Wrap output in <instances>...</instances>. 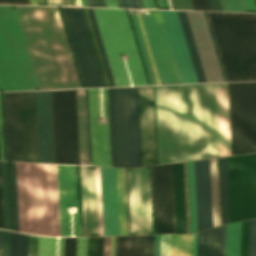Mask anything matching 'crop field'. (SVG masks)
I'll list each match as a JSON object with an SVG mask.
<instances>
[{"label": "crop field", "instance_id": "crop-field-1", "mask_svg": "<svg viewBox=\"0 0 256 256\" xmlns=\"http://www.w3.org/2000/svg\"><path fill=\"white\" fill-rule=\"evenodd\" d=\"M160 164L219 156L215 84L155 86Z\"/></svg>", "mask_w": 256, "mask_h": 256}, {"label": "crop field", "instance_id": "crop-field-2", "mask_svg": "<svg viewBox=\"0 0 256 256\" xmlns=\"http://www.w3.org/2000/svg\"><path fill=\"white\" fill-rule=\"evenodd\" d=\"M143 166L157 164L152 86L138 87ZM112 166H142L137 87L108 88Z\"/></svg>", "mask_w": 256, "mask_h": 256}, {"label": "crop field", "instance_id": "crop-field-3", "mask_svg": "<svg viewBox=\"0 0 256 256\" xmlns=\"http://www.w3.org/2000/svg\"><path fill=\"white\" fill-rule=\"evenodd\" d=\"M16 7L39 88H80L57 7Z\"/></svg>", "mask_w": 256, "mask_h": 256}, {"label": "crop field", "instance_id": "crop-field-4", "mask_svg": "<svg viewBox=\"0 0 256 256\" xmlns=\"http://www.w3.org/2000/svg\"><path fill=\"white\" fill-rule=\"evenodd\" d=\"M20 232L60 236L56 165L16 163Z\"/></svg>", "mask_w": 256, "mask_h": 256}, {"label": "crop field", "instance_id": "crop-field-5", "mask_svg": "<svg viewBox=\"0 0 256 256\" xmlns=\"http://www.w3.org/2000/svg\"><path fill=\"white\" fill-rule=\"evenodd\" d=\"M209 13L228 80H256V14Z\"/></svg>", "mask_w": 256, "mask_h": 256}, {"label": "crop field", "instance_id": "crop-field-6", "mask_svg": "<svg viewBox=\"0 0 256 256\" xmlns=\"http://www.w3.org/2000/svg\"><path fill=\"white\" fill-rule=\"evenodd\" d=\"M94 13L115 85H130L123 61L118 54H127L128 60L125 61L132 84L148 85L126 11L94 9Z\"/></svg>", "mask_w": 256, "mask_h": 256}, {"label": "crop field", "instance_id": "crop-field-7", "mask_svg": "<svg viewBox=\"0 0 256 256\" xmlns=\"http://www.w3.org/2000/svg\"><path fill=\"white\" fill-rule=\"evenodd\" d=\"M11 7L0 6V88L38 90L16 10Z\"/></svg>", "mask_w": 256, "mask_h": 256}, {"label": "crop field", "instance_id": "crop-field-8", "mask_svg": "<svg viewBox=\"0 0 256 256\" xmlns=\"http://www.w3.org/2000/svg\"><path fill=\"white\" fill-rule=\"evenodd\" d=\"M7 160L38 162L34 92L3 93Z\"/></svg>", "mask_w": 256, "mask_h": 256}, {"label": "crop field", "instance_id": "crop-field-9", "mask_svg": "<svg viewBox=\"0 0 256 256\" xmlns=\"http://www.w3.org/2000/svg\"><path fill=\"white\" fill-rule=\"evenodd\" d=\"M231 222L256 217V153L227 157Z\"/></svg>", "mask_w": 256, "mask_h": 256}, {"label": "crop field", "instance_id": "crop-field-10", "mask_svg": "<svg viewBox=\"0 0 256 256\" xmlns=\"http://www.w3.org/2000/svg\"><path fill=\"white\" fill-rule=\"evenodd\" d=\"M234 154L256 152V82L230 83Z\"/></svg>", "mask_w": 256, "mask_h": 256}, {"label": "crop field", "instance_id": "crop-field-11", "mask_svg": "<svg viewBox=\"0 0 256 256\" xmlns=\"http://www.w3.org/2000/svg\"><path fill=\"white\" fill-rule=\"evenodd\" d=\"M56 163L78 164L74 90L51 91Z\"/></svg>", "mask_w": 256, "mask_h": 256}, {"label": "crop field", "instance_id": "crop-field-12", "mask_svg": "<svg viewBox=\"0 0 256 256\" xmlns=\"http://www.w3.org/2000/svg\"><path fill=\"white\" fill-rule=\"evenodd\" d=\"M161 12H162V16L164 19V23L166 26V30L168 33V37L170 40V44L173 50V54L175 57V61L178 67V71H179L182 83H196L197 81L206 82L203 71H202V67L199 61V57L197 54V50L194 44V40L192 37V33L189 27V23L186 17V13L177 11L180 22H181V26L183 29V33L185 36V40L188 46V50L190 53V57L192 60V64L195 70L197 81L193 71L189 53L186 47L182 29L179 23L177 12L176 11H161Z\"/></svg>", "mask_w": 256, "mask_h": 256}, {"label": "crop field", "instance_id": "crop-field-13", "mask_svg": "<svg viewBox=\"0 0 256 256\" xmlns=\"http://www.w3.org/2000/svg\"><path fill=\"white\" fill-rule=\"evenodd\" d=\"M84 87H104L81 8L60 7Z\"/></svg>", "mask_w": 256, "mask_h": 256}, {"label": "crop field", "instance_id": "crop-field-14", "mask_svg": "<svg viewBox=\"0 0 256 256\" xmlns=\"http://www.w3.org/2000/svg\"><path fill=\"white\" fill-rule=\"evenodd\" d=\"M128 180L131 232H136V235L148 234V231H152L149 170H144V167L132 169V172H128Z\"/></svg>", "mask_w": 256, "mask_h": 256}, {"label": "crop field", "instance_id": "crop-field-15", "mask_svg": "<svg viewBox=\"0 0 256 256\" xmlns=\"http://www.w3.org/2000/svg\"><path fill=\"white\" fill-rule=\"evenodd\" d=\"M98 96L103 124H95L97 118L95 89H88L92 165L111 166L107 88L98 89Z\"/></svg>", "mask_w": 256, "mask_h": 256}, {"label": "crop field", "instance_id": "crop-field-16", "mask_svg": "<svg viewBox=\"0 0 256 256\" xmlns=\"http://www.w3.org/2000/svg\"><path fill=\"white\" fill-rule=\"evenodd\" d=\"M61 236H71L70 213L74 207V236H81L77 166L57 165Z\"/></svg>", "mask_w": 256, "mask_h": 256}, {"label": "crop field", "instance_id": "crop-field-17", "mask_svg": "<svg viewBox=\"0 0 256 256\" xmlns=\"http://www.w3.org/2000/svg\"><path fill=\"white\" fill-rule=\"evenodd\" d=\"M155 234L175 233L171 164L152 167Z\"/></svg>", "mask_w": 256, "mask_h": 256}, {"label": "crop field", "instance_id": "crop-field-18", "mask_svg": "<svg viewBox=\"0 0 256 256\" xmlns=\"http://www.w3.org/2000/svg\"><path fill=\"white\" fill-rule=\"evenodd\" d=\"M142 14L161 83L180 82L163 23L155 22L152 10Z\"/></svg>", "mask_w": 256, "mask_h": 256}, {"label": "crop field", "instance_id": "crop-field-19", "mask_svg": "<svg viewBox=\"0 0 256 256\" xmlns=\"http://www.w3.org/2000/svg\"><path fill=\"white\" fill-rule=\"evenodd\" d=\"M207 82L224 81L204 12H186Z\"/></svg>", "mask_w": 256, "mask_h": 256}, {"label": "crop field", "instance_id": "crop-field-20", "mask_svg": "<svg viewBox=\"0 0 256 256\" xmlns=\"http://www.w3.org/2000/svg\"><path fill=\"white\" fill-rule=\"evenodd\" d=\"M39 162L55 163L50 91L35 92Z\"/></svg>", "mask_w": 256, "mask_h": 256}, {"label": "crop field", "instance_id": "crop-field-21", "mask_svg": "<svg viewBox=\"0 0 256 256\" xmlns=\"http://www.w3.org/2000/svg\"><path fill=\"white\" fill-rule=\"evenodd\" d=\"M198 231L212 228L209 159L194 161Z\"/></svg>", "mask_w": 256, "mask_h": 256}, {"label": "crop field", "instance_id": "crop-field-22", "mask_svg": "<svg viewBox=\"0 0 256 256\" xmlns=\"http://www.w3.org/2000/svg\"><path fill=\"white\" fill-rule=\"evenodd\" d=\"M104 236L119 235L115 168L100 167Z\"/></svg>", "mask_w": 256, "mask_h": 256}, {"label": "crop field", "instance_id": "crop-field-23", "mask_svg": "<svg viewBox=\"0 0 256 256\" xmlns=\"http://www.w3.org/2000/svg\"><path fill=\"white\" fill-rule=\"evenodd\" d=\"M220 156L231 155L227 83L216 84Z\"/></svg>", "mask_w": 256, "mask_h": 256}, {"label": "crop field", "instance_id": "crop-field-24", "mask_svg": "<svg viewBox=\"0 0 256 256\" xmlns=\"http://www.w3.org/2000/svg\"><path fill=\"white\" fill-rule=\"evenodd\" d=\"M176 233H187L183 163L172 164Z\"/></svg>", "mask_w": 256, "mask_h": 256}, {"label": "crop field", "instance_id": "crop-field-25", "mask_svg": "<svg viewBox=\"0 0 256 256\" xmlns=\"http://www.w3.org/2000/svg\"><path fill=\"white\" fill-rule=\"evenodd\" d=\"M154 235L118 237L117 256H153Z\"/></svg>", "mask_w": 256, "mask_h": 256}, {"label": "crop field", "instance_id": "crop-field-26", "mask_svg": "<svg viewBox=\"0 0 256 256\" xmlns=\"http://www.w3.org/2000/svg\"><path fill=\"white\" fill-rule=\"evenodd\" d=\"M87 169H95V167H87ZM87 175L91 233H99L95 170H87ZM91 236H99V234H91Z\"/></svg>", "mask_w": 256, "mask_h": 256}, {"label": "crop field", "instance_id": "crop-field-27", "mask_svg": "<svg viewBox=\"0 0 256 256\" xmlns=\"http://www.w3.org/2000/svg\"><path fill=\"white\" fill-rule=\"evenodd\" d=\"M226 225L208 230L207 256H225Z\"/></svg>", "mask_w": 256, "mask_h": 256}, {"label": "crop field", "instance_id": "crop-field-28", "mask_svg": "<svg viewBox=\"0 0 256 256\" xmlns=\"http://www.w3.org/2000/svg\"><path fill=\"white\" fill-rule=\"evenodd\" d=\"M81 159L88 160L84 90H77Z\"/></svg>", "mask_w": 256, "mask_h": 256}, {"label": "crop field", "instance_id": "crop-field-29", "mask_svg": "<svg viewBox=\"0 0 256 256\" xmlns=\"http://www.w3.org/2000/svg\"><path fill=\"white\" fill-rule=\"evenodd\" d=\"M5 229L12 230L8 162H1Z\"/></svg>", "mask_w": 256, "mask_h": 256}, {"label": "crop field", "instance_id": "crop-field-30", "mask_svg": "<svg viewBox=\"0 0 256 256\" xmlns=\"http://www.w3.org/2000/svg\"><path fill=\"white\" fill-rule=\"evenodd\" d=\"M223 224L230 222L226 157L219 158Z\"/></svg>", "mask_w": 256, "mask_h": 256}, {"label": "crop field", "instance_id": "crop-field-31", "mask_svg": "<svg viewBox=\"0 0 256 256\" xmlns=\"http://www.w3.org/2000/svg\"><path fill=\"white\" fill-rule=\"evenodd\" d=\"M193 234L171 235L170 256H192Z\"/></svg>", "mask_w": 256, "mask_h": 256}, {"label": "crop field", "instance_id": "crop-field-32", "mask_svg": "<svg viewBox=\"0 0 256 256\" xmlns=\"http://www.w3.org/2000/svg\"><path fill=\"white\" fill-rule=\"evenodd\" d=\"M120 235H127L123 169L116 168Z\"/></svg>", "mask_w": 256, "mask_h": 256}, {"label": "crop field", "instance_id": "crop-field-33", "mask_svg": "<svg viewBox=\"0 0 256 256\" xmlns=\"http://www.w3.org/2000/svg\"><path fill=\"white\" fill-rule=\"evenodd\" d=\"M241 222L227 225L226 256H240Z\"/></svg>", "mask_w": 256, "mask_h": 256}, {"label": "crop field", "instance_id": "crop-field-34", "mask_svg": "<svg viewBox=\"0 0 256 256\" xmlns=\"http://www.w3.org/2000/svg\"><path fill=\"white\" fill-rule=\"evenodd\" d=\"M57 237L39 236L38 256H56ZM64 238L60 237L59 256H63Z\"/></svg>", "mask_w": 256, "mask_h": 256}, {"label": "crop field", "instance_id": "crop-field-35", "mask_svg": "<svg viewBox=\"0 0 256 256\" xmlns=\"http://www.w3.org/2000/svg\"><path fill=\"white\" fill-rule=\"evenodd\" d=\"M191 232L197 230L193 161L187 162Z\"/></svg>", "mask_w": 256, "mask_h": 256}, {"label": "crop field", "instance_id": "crop-field-36", "mask_svg": "<svg viewBox=\"0 0 256 256\" xmlns=\"http://www.w3.org/2000/svg\"><path fill=\"white\" fill-rule=\"evenodd\" d=\"M128 11H129L130 18H131V21H132V24H133V28H134V31H135V34H136V38H137V41H138V44H139V48H140V51H141V54H142V57H143V61H144L145 67H146V71H147V74H148V77H149L150 84L151 85L156 84L153 73H152V69H151V66H150V62H149V59H148V56H147V52H146V49H145V45H144V42H143V38H142V35H141V32H140L138 21H137L136 15H135V11L134 10H128Z\"/></svg>", "mask_w": 256, "mask_h": 256}, {"label": "crop field", "instance_id": "crop-field-37", "mask_svg": "<svg viewBox=\"0 0 256 256\" xmlns=\"http://www.w3.org/2000/svg\"><path fill=\"white\" fill-rule=\"evenodd\" d=\"M84 236H90L86 167L80 166Z\"/></svg>", "mask_w": 256, "mask_h": 256}, {"label": "crop field", "instance_id": "crop-field-38", "mask_svg": "<svg viewBox=\"0 0 256 256\" xmlns=\"http://www.w3.org/2000/svg\"><path fill=\"white\" fill-rule=\"evenodd\" d=\"M214 227L220 225L216 159H210Z\"/></svg>", "mask_w": 256, "mask_h": 256}, {"label": "crop field", "instance_id": "crop-field-39", "mask_svg": "<svg viewBox=\"0 0 256 256\" xmlns=\"http://www.w3.org/2000/svg\"><path fill=\"white\" fill-rule=\"evenodd\" d=\"M10 256H28V235L11 232Z\"/></svg>", "mask_w": 256, "mask_h": 256}, {"label": "crop field", "instance_id": "crop-field-40", "mask_svg": "<svg viewBox=\"0 0 256 256\" xmlns=\"http://www.w3.org/2000/svg\"><path fill=\"white\" fill-rule=\"evenodd\" d=\"M110 86H115L92 8H87Z\"/></svg>", "mask_w": 256, "mask_h": 256}, {"label": "crop field", "instance_id": "crop-field-41", "mask_svg": "<svg viewBox=\"0 0 256 256\" xmlns=\"http://www.w3.org/2000/svg\"><path fill=\"white\" fill-rule=\"evenodd\" d=\"M82 9H83V13H84L85 20H86V23H87V27H88V30H89V34H90V37H91V41H92V44H93V47H94V51H95V54H96V58H97V61H98V65H99V68H100L102 79H103V82H104V86L107 87V86H109L108 81H107L106 74H105V71H104V68H103V64H102L101 57H100V54H99V50H98V47H97V44H96V40H95V37H94L92 26H91V23H90V20H89L87 9L86 8H82Z\"/></svg>", "mask_w": 256, "mask_h": 256}, {"label": "crop field", "instance_id": "crop-field-42", "mask_svg": "<svg viewBox=\"0 0 256 256\" xmlns=\"http://www.w3.org/2000/svg\"><path fill=\"white\" fill-rule=\"evenodd\" d=\"M250 220L242 222L241 256H249Z\"/></svg>", "mask_w": 256, "mask_h": 256}, {"label": "crop field", "instance_id": "crop-field-43", "mask_svg": "<svg viewBox=\"0 0 256 256\" xmlns=\"http://www.w3.org/2000/svg\"><path fill=\"white\" fill-rule=\"evenodd\" d=\"M15 231L19 232L15 163L11 162Z\"/></svg>", "mask_w": 256, "mask_h": 256}, {"label": "crop field", "instance_id": "crop-field-44", "mask_svg": "<svg viewBox=\"0 0 256 256\" xmlns=\"http://www.w3.org/2000/svg\"><path fill=\"white\" fill-rule=\"evenodd\" d=\"M136 14H137L139 25H140L142 35H143V38H144L146 49H147V52H148V55H149V59H150V62H151L153 73H154V76H155V79H156V83L160 84L159 78H158V75H157V71H156V68H155L154 60H153V57H152V53H151V50H150V46H149V43H148V39H147V36H146L145 28H144V25H143V21H142V18H141V14L140 13H136Z\"/></svg>", "mask_w": 256, "mask_h": 256}, {"label": "crop field", "instance_id": "crop-field-45", "mask_svg": "<svg viewBox=\"0 0 256 256\" xmlns=\"http://www.w3.org/2000/svg\"><path fill=\"white\" fill-rule=\"evenodd\" d=\"M207 230L198 233L197 256H206Z\"/></svg>", "mask_w": 256, "mask_h": 256}, {"label": "crop field", "instance_id": "crop-field-46", "mask_svg": "<svg viewBox=\"0 0 256 256\" xmlns=\"http://www.w3.org/2000/svg\"><path fill=\"white\" fill-rule=\"evenodd\" d=\"M224 11H244L241 0H221Z\"/></svg>", "mask_w": 256, "mask_h": 256}, {"label": "crop field", "instance_id": "crop-field-47", "mask_svg": "<svg viewBox=\"0 0 256 256\" xmlns=\"http://www.w3.org/2000/svg\"><path fill=\"white\" fill-rule=\"evenodd\" d=\"M10 232L1 230L0 256H9Z\"/></svg>", "mask_w": 256, "mask_h": 256}, {"label": "crop field", "instance_id": "crop-field-48", "mask_svg": "<svg viewBox=\"0 0 256 256\" xmlns=\"http://www.w3.org/2000/svg\"><path fill=\"white\" fill-rule=\"evenodd\" d=\"M250 256H256V219L251 220Z\"/></svg>", "mask_w": 256, "mask_h": 256}, {"label": "crop field", "instance_id": "crop-field-49", "mask_svg": "<svg viewBox=\"0 0 256 256\" xmlns=\"http://www.w3.org/2000/svg\"><path fill=\"white\" fill-rule=\"evenodd\" d=\"M100 236H103L99 167H96Z\"/></svg>", "mask_w": 256, "mask_h": 256}, {"label": "crop field", "instance_id": "crop-field-50", "mask_svg": "<svg viewBox=\"0 0 256 256\" xmlns=\"http://www.w3.org/2000/svg\"><path fill=\"white\" fill-rule=\"evenodd\" d=\"M76 238H65L64 256H75Z\"/></svg>", "mask_w": 256, "mask_h": 256}, {"label": "crop field", "instance_id": "crop-field-51", "mask_svg": "<svg viewBox=\"0 0 256 256\" xmlns=\"http://www.w3.org/2000/svg\"><path fill=\"white\" fill-rule=\"evenodd\" d=\"M170 235H161L160 256H169Z\"/></svg>", "mask_w": 256, "mask_h": 256}, {"label": "crop field", "instance_id": "crop-field-52", "mask_svg": "<svg viewBox=\"0 0 256 256\" xmlns=\"http://www.w3.org/2000/svg\"><path fill=\"white\" fill-rule=\"evenodd\" d=\"M173 9L193 10L190 0H170Z\"/></svg>", "mask_w": 256, "mask_h": 256}, {"label": "crop field", "instance_id": "crop-field-53", "mask_svg": "<svg viewBox=\"0 0 256 256\" xmlns=\"http://www.w3.org/2000/svg\"><path fill=\"white\" fill-rule=\"evenodd\" d=\"M87 238H77L76 256H86Z\"/></svg>", "mask_w": 256, "mask_h": 256}, {"label": "crop field", "instance_id": "crop-field-54", "mask_svg": "<svg viewBox=\"0 0 256 256\" xmlns=\"http://www.w3.org/2000/svg\"><path fill=\"white\" fill-rule=\"evenodd\" d=\"M38 236L29 235V256H37Z\"/></svg>", "mask_w": 256, "mask_h": 256}, {"label": "crop field", "instance_id": "crop-field-55", "mask_svg": "<svg viewBox=\"0 0 256 256\" xmlns=\"http://www.w3.org/2000/svg\"><path fill=\"white\" fill-rule=\"evenodd\" d=\"M194 10H211L208 0H191Z\"/></svg>", "mask_w": 256, "mask_h": 256}, {"label": "crop field", "instance_id": "crop-field-56", "mask_svg": "<svg viewBox=\"0 0 256 256\" xmlns=\"http://www.w3.org/2000/svg\"><path fill=\"white\" fill-rule=\"evenodd\" d=\"M124 177H125V194H126V210H127V227H128V235H130L127 169H124Z\"/></svg>", "mask_w": 256, "mask_h": 256}, {"label": "crop field", "instance_id": "crop-field-57", "mask_svg": "<svg viewBox=\"0 0 256 256\" xmlns=\"http://www.w3.org/2000/svg\"><path fill=\"white\" fill-rule=\"evenodd\" d=\"M97 238H88L87 256H96Z\"/></svg>", "mask_w": 256, "mask_h": 256}, {"label": "crop field", "instance_id": "crop-field-58", "mask_svg": "<svg viewBox=\"0 0 256 256\" xmlns=\"http://www.w3.org/2000/svg\"><path fill=\"white\" fill-rule=\"evenodd\" d=\"M0 152H1V160H4L1 93H0Z\"/></svg>", "mask_w": 256, "mask_h": 256}, {"label": "crop field", "instance_id": "crop-field-59", "mask_svg": "<svg viewBox=\"0 0 256 256\" xmlns=\"http://www.w3.org/2000/svg\"><path fill=\"white\" fill-rule=\"evenodd\" d=\"M120 7L140 8L138 0H118Z\"/></svg>", "mask_w": 256, "mask_h": 256}, {"label": "crop field", "instance_id": "crop-field-60", "mask_svg": "<svg viewBox=\"0 0 256 256\" xmlns=\"http://www.w3.org/2000/svg\"><path fill=\"white\" fill-rule=\"evenodd\" d=\"M85 98H86V116H87L88 152H89V162H91V155H90V133H89L88 105H87V89L85 90Z\"/></svg>", "mask_w": 256, "mask_h": 256}, {"label": "crop field", "instance_id": "crop-field-61", "mask_svg": "<svg viewBox=\"0 0 256 256\" xmlns=\"http://www.w3.org/2000/svg\"><path fill=\"white\" fill-rule=\"evenodd\" d=\"M0 220H1V228L4 229L3 204H2V187H1V170H0Z\"/></svg>", "mask_w": 256, "mask_h": 256}, {"label": "crop field", "instance_id": "crop-field-62", "mask_svg": "<svg viewBox=\"0 0 256 256\" xmlns=\"http://www.w3.org/2000/svg\"><path fill=\"white\" fill-rule=\"evenodd\" d=\"M256 8V0H253ZM252 0H242L244 8H250V9H255L254 4ZM245 11H252L256 12V10H249V9H244Z\"/></svg>", "mask_w": 256, "mask_h": 256}, {"label": "crop field", "instance_id": "crop-field-63", "mask_svg": "<svg viewBox=\"0 0 256 256\" xmlns=\"http://www.w3.org/2000/svg\"><path fill=\"white\" fill-rule=\"evenodd\" d=\"M111 237H105L104 256H110Z\"/></svg>", "mask_w": 256, "mask_h": 256}, {"label": "crop field", "instance_id": "crop-field-64", "mask_svg": "<svg viewBox=\"0 0 256 256\" xmlns=\"http://www.w3.org/2000/svg\"><path fill=\"white\" fill-rule=\"evenodd\" d=\"M49 5L70 6L68 0H48Z\"/></svg>", "mask_w": 256, "mask_h": 256}, {"label": "crop field", "instance_id": "crop-field-65", "mask_svg": "<svg viewBox=\"0 0 256 256\" xmlns=\"http://www.w3.org/2000/svg\"><path fill=\"white\" fill-rule=\"evenodd\" d=\"M209 2L212 10L223 11L220 0H209Z\"/></svg>", "mask_w": 256, "mask_h": 256}, {"label": "crop field", "instance_id": "crop-field-66", "mask_svg": "<svg viewBox=\"0 0 256 256\" xmlns=\"http://www.w3.org/2000/svg\"><path fill=\"white\" fill-rule=\"evenodd\" d=\"M104 237L98 238L97 256H103Z\"/></svg>", "mask_w": 256, "mask_h": 256}, {"label": "crop field", "instance_id": "crop-field-67", "mask_svg": "<svg viewBox=\"0 0 256 256\" xmlns=\"http://www.w3.org/2000/svg\"><path fill=\"white\" fill-rule=\"evenodd\" d=\"M0 3L30 4V3H29V0H0Z\"/></svg>", "mask_w": 256, "mask_h": 256}, {"label": "crop field", "instance_id": "crop-field-68", "mask_svg": "<svg viewBox=\"0 0 256 256\" xmlns=\"http://www.w3.org/2000/svg\"><path fill=\"white\" fill-rule=\"evenodd\" d=\"M159 246H160V235H155V252H154V256H159Z\"/></svg>", "mask_w": 256, "mask_h": 256}, {"label": "crop field", "instance_id": "crop-field-69", "mask_svg": "<svg viewBox=\"0 0 256 256\" xmlns=\"http://www.w3.org/2000/svg\"><path fill=\"white\" fill-rule=\"evenodd\" d=\"M142 3L144 8L155 9L152 0H142Z\"/></svg>", "mask_w": 256, "mask_h": 256}, {"label": "crop field", "instance_id": "crop-field-70", "mask_svg": "<svg viewBox=\"0 0 256 256\" xmlns=\"http://www.w3.org/2000/svg\"><path fill=\"white\" fill-rule=\"evenodd\" d=\"M157 1V0H156ZM159 1V5L160 6H169L168 5V2H167V0H158ZM158 1H157V4H158ZM159 5H158V8L159 9H171L170 7H159Z\"/></svg>", "mask_w": 256, "mask_h": 256}, {"label": "crop field", "instance_id": "crop-field-71", "mask_svg": "<svg viewBox=\"0 0 256 256\" xmlns=\"http://www.w3.org/2000/svg\"><path fill=\"white\" fill-rule=\"evenodd\" d=\"M108 7H119L117 0H106Z\"/></svg>", "mask_w": 256, "mask_h": 256}, {"label": "crop field", "instance_id": "crop-field-72", "mask_svg": "<svg viewBox=\"0 0 256 256\" xmlns=\"http://www.w3.org/2000/svg\"><path fill=\"white\" fill-rule=\"evenodd\" d=\"M197 233L194 234L193 256H196Z\"/></svg>", "mask_w": 256, "mask_h": 256}, {"label": "crop field", "instance_id": "crop-field-73", "mask_svg": "<svg viewBox=\"0 0 256 256\" xmlns=\"http://www.w3.org/2000/svg\"><path fill=\"white\" fill-rule=\"evenodd\" d=\"M87 1H88V5H89V6H92V7H99L97 0H87Z\"/></svg>", "mask_w": 256, "mask_h": 256}, {"label": "crop field", "instance_id": "crop-field-74", "mask_svg": "<svg viewBox=\"0 0 256 256\" xmlns=\"http://www.w3.org/2000/svg\"><path fill=\"white\" fill-rule=\"evenodd\" d=\"M71 6H81L79 0H69Z\"/></svg>", "mask_w": 256, "mask_h": 256}, {"label": "crop field", "instance_id": "crop-field-75", "mask_svg": "<svg viewBox=\"0 0 256 256\" xmlns=\"http://www.w3.org/2000/svg\"><path fill=\"white\" fill-rule=\"evenodd\" d=\"M98 2H99L100 7H107L106 3H105V0H98Z\"/></svg>", "mask_w": 256, "mask_h": 256}, {"label": "crop field", "instance_id": "crop-field-76", "mask_svg": "<svg viewBox=\"0 0 256 256\" xmlns=\"http://www.w3.org/2000/svg\"><path fill=\"white\" fill-rule=\"evenodd\" d=\"M38 5H46L45 0H37Z\"/></svg>", "mask_w": 256, "mask_h": 256}, {"label": "crop field", "instance_id": "crop-field-77", "mask_svg": "<svg viewBox=\"0 0 256 256\" xmlns=\"http://www.w3.org/2000/svg\"><path fill=\"white\" fill-rule=\"evenodd\" d=\"M116 248H117V237H115V249H114V256H116Z\"/></svg>", "mask_w": 256, "mask_h": 256}, {"label": "crop field", "instance_id": "crop-field-78", "mask_svg": "<svg viewBox=\"0 0 256 256\" xmlns=\"http://www.w3.org/2000/svg\"><path fill=\"white\" fill-rule=\"evenodd\" d=\"M113 248H114V237H112V249H111V256H113Z\"/></svg>", "mask_w": 256, "mask_h": 256}, {"label": "crop field", "instance_id": "crop-field-79", "mask_svg": "<svg viewBox=\"0 0 256 256\" xmlns=\"http://www.w3.org/2000/svg\"><path fill=\"white\" fill-rule=\"evenodd\" d=\"M80 1H81V5H82V6H88L86 0H80Z\"/></svg>", "mask_w": 256, "mask_h": 256}, {"label": "crop field", "instance_id": "crop-field-80", "mask_svg": "<svg viewBox=\"0 0 256 256\" xmlns=\"http://www.w3.org/2000/svg\"><path fill=\"white\" fill-rule=\"evenodd\" d=\"M30 3H31V4H34V5H37V4H36V0H30Z\"/></svg>", "mask_w": 256, "mask_h": 256}]
</instances>
